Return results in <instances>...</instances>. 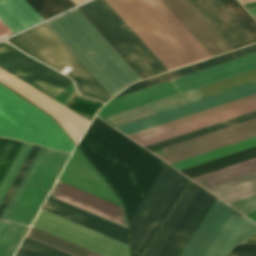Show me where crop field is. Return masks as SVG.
<instances>
[{
    "label": "crop field",
    "mask_w": 256,
    "mask_h": 256,
    "mask_svg": "<svg viewBox=\"0 0 256 256\" xmlns=\"http://www.w3.org/2000/svg\"><path fill=\"white\" fill-rule=\"evenodd\" d=\"M254 100H256V94L246 97V98H243V99H239V100L224 104V105H221V106H218V107H215V108H212V109H209V110H205V111H202V112H199V113H196V114H193V115H190V116L178 119V120H174V121H171V122H168V123H165V124H162V125H159V126H156V127L144 130V131H140V132L128 135V136L131 139L135 140V139H138V138H141V137H144V136H147V135L180 125L182 123H185V122H188V121H191L194 119H198V118H201V117H204V116H207V115H210V114L222 111V110H226V109H229V108H232V107H235V106H238V105L250 102V101H254Z\"/></svg>",
    "instance_id": "ae1a2a85"
},
{
    "label": "crop field",
    "mask_w": 256,
    "mask_h": 256,
    "mask_svg": "<svg viewBox=\"0 0 256 256\" xmlns=\"http://www.w3.org/2000/svg\"><path fill=\"white\" fill-rule=\"evenodd\" d=\"M253 136H256V118L163 148L165 152L161 154L154 153L171 164Z\"/></svg>",
    "instance_id": "d1516ede"
},
{
    "label": "crop field",
    "mask_w": 256,
    "mask_h": 256,
    "mask_svg": "<svg viewBox=\"0 0 256 256\" xmlns=\"http://www.w3.org/2000/svg\"><path fill=\"white\" fill-rule=\"evenodd\" d=\"M189 181L165 164L128 221L131 256L142 255ZM215 198L191 181L143 256H178Z\"/></svg>",
    "instance_id": "8a807250"
},
{
    "label": "crop field",
    "mask_w": 256,
    "mask_h": 256,
    "mask_svg": "<svg viewBox=\"0 0 256 256\" xmlns=\"http://www.w3.org/2000/svg\"><path fill=\"white\" fill-rule=\"evenodd\" d=\"M44 19L75 6L71 0H26Z\"/></svg>",
    "instance_id": "1d83c4d3"
},
{
    "label": "crop field",
    "mask_w": 256,
    "mask_h": 256,
    "mask_svg": "<svg viewBox=\"0 0 256 256\" xmlns=\"http://www.w3.org/2000/svg\"><path fill=\"white\" fill-rule=\"evenodd\" d=\"M78 8L142 79L167 71L105 0H93Z\"/></svg>",
    "instance_id": "e52e79f7"
},
{
    "label": "crop field",
    "mask_w": 256,
    "mask_h": 256,
    "mask_svg": "<svg viewBox=\"0 0 256 256\" xmlns=\"http://www.w3.org/2000/svg\"><path fill=\"white\" fill-rule=\"evenodd\" d=\"M197 41L213 56L232 48L189 2V0H161Z\"/></svg>",
    "instance_id": "733c2abd"
},
{
    "label": "crop field",
    "mask_w": 256,
    "mask_h": 256,
    "mask_svg": "<svg viewBox=\"0 0 256 256\" xmlns=\"http://www.w3.org/2000/svg\"><path fill=\"white\" fill-rule=\"evenodd\" d=\"M69 154L47 149L8 220L30 225Z\"/></svg>",
    "instance_id": "3316defc"
},
{
    "label": "crop field",
    "mask_w": 256,
    "mask_h": 256,
    "mask_svg": "<svg viewBox=\"0 0 256 256\" xmlns=\"http://www.w3.org/2000/svg\"><path fill=\"white\" fill-rule=\"evenodd\" d=\"M45 150H46V148L40 147V149H39L37 155L35 156L33 162L31 163V165H30V167H29V169H28V171L26 172L24 178L22 179V181H21L19 187L17 188L15 194L13 195V197H12L10 203L8 204L6 210L4 211V213H3L2 217H1V219L7 220V218H8V216H9L10 212L12 211V209H13L15 203L17 202V200H18L20 194L22 193V191H23L25 185L27 184L29 178L31 177V175H32V173H33V171H34V169L36 168V166H37L39 160L41 159V157H42V155H43V153H44Z\"/></svg>",
    "instance_id": "028f5c9d"
},
{
    "label": "crop field",
    "mask_w": 256,
    "mask_h": 256,
    "mask_svg": "<svg viewBox=\"0 0 256 256\" xmlns=\"http://www.w3.org/2000/svg\"><path fill=\"white\" fill-rule=\"evenodd\" d=\"M76 5L79 4L80 2L84 1V0H72Z\"/></svg>",
    "instance_id": "25e5ab78"
},
{
    "label": "crop field",
    "mask_w": 256,
    "mask_h": 256,
    "mask_svg": "<svg viewBox=\"0 0 256 256\" xmlns=\"http://www.w3.org/2000/svg\"><path fill=\"white\" fill-rule=\"evenodd\" d=\"M255 93L256 82H253L116 128L124 134L128 135Z\"/></svg>",
    "instance_id": "5142ce71"
},
{
    "label": "crop field",
    "mask_w": 256,
    "mask_h": 256,
    "mask_svg": "<svg viewBox=\"0 0 256 256\" xmlns=\"http://www.w3.org/2000/svg\"><path fill=\"white\" fill-rule=\"evenodd\" d=\"M254 17H256V7L247 9Z\"/></svg>",
    "instance_id": "b54c1fbb"
},
{
    "label": "crop field",
    "mask_w": 256,
    "mask_h": 256,
    "mask_svg": "<svg viewBox=\"0 0 256 256\" xmlns=\"http://www.w3.org/2000/svg\"><path fill=\"white\" fill-rule=\"evenodd\" d=\"M232 11L243 21V23L256 36V21L246 12V10L237 2V0H223Z\"/></svg>",
    "instance_id": "b80d0937"
},
{
    "label": "crop field",
    "mask_w": 256,
    "mask_h": 256,
    "mask_svg": "<svg viewBox=\"0 0 256 256\" xmlns=\"http://www.w3.org/2000/svg\"><path fill=\"white\" fill-rule=\"evenodd\" d=\"M250 219H256V194L228 202Z\"/></svg>",
    "instance_id": "0bd39190"
},
{
    "label": "crop field",
    "mask_w": 256,
    "mask_h": 256,
    "mask_svg": "<svg viewBox=\"0 0 256 256\" xmlns=\"http://www.w3.org/2000/svg\"><path fill=\"white\" fill-rule=\"evenodd\" d=\"M59 181L121 206L111 189L77 149L74 150Z\"/></svg>",
    "instance_id": "4a817a6b"
},
{
    "label": "crop field",
    "mask_w": 256,
    "mask_h": 256,
    "mask_svg": "<svg viewBox=\"0 0 256 256\" xmlns=\"http://www.w3.org/2000/svg\"><path fill=\"white\" fill-rule=\"evenodd\" d=\"M208 190L226 202L247 196L256 193V174Z\"/></svg>",
    "instance_id": "eef30255"
},
{
    "label": "crop field",
    "mask_w": 256,
    "mask_h": 256,
    "mask_svg": "<svg viewBox=\"0 0 256 256\" xmlns=\"http://www.w3.org/2000/svg\"><path fill=\"white\" fill-rule=\"evenodd\" d=\"M50 196L127 228L123 209L57 181Z\"/></svg>",
    "instance_id": "214f88e0"
},
{
    "label": "crop field",
    "mask_w": 256,
    "mask_h": 256,
    "mask_svg": "<svg viewBox=\"0 0 256 256\" xmlns=\"http://www.w3.org/2000/svg\"><path fill=\"white\" fill-rule=\"evenodd\" d=\"M254 117H256V111L236 117V118H232V119H229V120H226V121H223V122H220V123L208 126V127H204V128H201V129H198V130H195V131L183 134V135H179V136H176V137H173V138H170V139L158 142V143H154V144H151V145H148L145 147L148 150L152 151V150H155V149H158V148H161L164 146H168V145H171V144H174V143H177V142H180V141L192 138V137H196V136L223 128V127H227V126H230V125H233V124H236V123H239V122H242V121L254 118Z\"/></svg>",
    "instance_id": "d3111659"
},
{
    "label": "crop field",
    "mask_w": 256,
    "mask_h": 256,
    "mask_svg": "<svg viewBox=\"0 0 256 256\" xmlns=\"http://www.w3.org/2000/svg\"><path fill=\"white\" fill-rule=\"evenodd\" d=\"M244 242H256V240H246ZM242 244H256V243H242Z\"/></svg>",
    "instance_id": "425ffa30"
},
{
    "label": "crop field",
    "mask_w": 256,
    "mask_h": 256,
    "mask_svg": "<svg viewBox=\"0 0 256 256\" xmlns=\"http://www.w3.org/2000/svg\"><path fill=\"white\" fill-rule=\"evenodd\" d=\"M256 157V146L180 170L190 178Z\"/></svg>",
    "instance_id": "4177f3b9"
},
{
    "label": "crop field",
    "mask_w": 256,
    "mask_h": 256,
    "mask_svg": "<svg viewBox=\"0 0 256 256\" xmlns=\"http://www.w3.org/2000/svg\"><path fill=\"white\" fill-rule=\"evenodd\" d=\"M24 143V142H23ZM22 142L0 138V182L19 150Z\"/></svg>",
    "instance_id": "5866460e"
},
{
    "label": "crop field",
    "mask_w": 256,
    "mask_h": 256,
    "mask_svg": "<svg viewBox=\"0 0 256 256\" xmlns=\"http://www.w3.org/2000/svg\"><path fill=\"white\" fill-rule=\"evenodd\" d=\"M242 4L254 2L256 0H239Z\"/></svg>",
    "instance_id": "5d738f31"
},
{
    "label": "crop field",
    "mask_w": 256,
    "mask_h": 256,
    "mask_svg": "<svg viewBox=\"0 0 256 256\" xmlns=\"http://www.w3.org/2000/svg\"><path fill=\"white\" fill-rule=\"evenodd\" d=\"M253 173H256V158L192 179L208 189Z\"/></svg>",
    "instance_id": "a9b5d70f"
},
{
    "label": "crop field",
    "mask_w": 256,
    "mask_h": 256,
    "mask_svg": "<svg viewBox=\"0 0 256 256\" xmlns=\"http://www.w3.org/2000/svg\"><path fill=\"white\" fill-rule=\"evenodd\" d=\"M0 81L51 114L75 144L90 122L1 68Z\"/></svg>",
    "instance_id": "cbeb9de0"
},
{
    "label": "crop field",
    "mask_w": 256,
    "mask_h": 256,
    "mask_svg": "<svg viewBox=\"0 0 256 256\" xmlns=\"http://www.w3.org/2000/svg\"><path fill=\"white\" fill-rule=\"evenodd\" d=\"M0 67L53 99L72 84L70 79L52 71L19 50L1 43Z\"/></svg>",
    "instance_id": "28ad6ade"
},
{
    "label": "crop field",
    "mask_w": 256,
    "mask_h": 256,
    "mask_svg": "<svg viewBox=\"0 0 256 256\" xmlns=\"http://www.w3.org/2000/svg\"><path fill=\"white\" fill-rule=\"evenodd\" d=\"M77 147L119 196L127 220L165 164L96 117Z\"/></svg>",
    "instance_id": "ac0d7876"
},
{
    "label": "crop field",
    "mask_w": 256,
    "mask_h": 256,
    "mask_svg": "<svg viewBox=\"0 0 256 256\" xmlns=\"http://www.w3.org/2000/svg\"><path fill=\"white\" fill-rule=\"evenodd\" d=\"M256 110V101L254 102H250L226 111H222L198 120H194L188 123H185L184 125H180L138 140H135L136 142H138L139 144L145 146L154 142H158L179 134H183L204 126H208L232 117H236L251 111ZM175 130L177 132H175Z\"/></svg>",
    "instance_id": "92a150f3"
},
{
    "label": "crop field",
    "mask_w": 256,
    "mask_h": 256,
    "mask_svg": "<svg viewBox=\"0 0 256 256\" xmlns=\"http://www.w3.org/2000/svg\"><path fill=\"white\" fill-rule=\"evenodd\" d=\"M43 210L127 245L128 231L122 226L114 224L50 196L48 197Z\"/></svg>",
    "instance_id": "bc2a9ffb"
},
{
    "label": "crop field",
    "mask_w": 256,
    "mask_h": 256,
    "mask_svg": "<svg viewBox=\"0 0 256 256\" xmlns=\"http://www.w3.org/2000/svg\"><path fill=\"white\" fill-rule=\"evenodd\" d=\"M12 33V31L6 27L1 21H0V38ZM13 34V33H12Z\"/></svg>",
    "instance_id": "c21b1889"
},
{
    "label": "crop field",
    "mask_w": 256,
    "mask_h": 256,
    "mask_svg": "<svg viewBox=\"0 0 256 256\" xmlns=\"http://www.w3.org/2000/svg\"><path fill=\"white\" fill-rule=\"evenodd\" d=\"M38 149H39V146L33 145L30 153L28 154V156H27L26 160L24 161L21 169L19 170L17 176L15 177L12 185L10 186L8 192L6 193L3 201L0 204V217H1L2 213H3V211L5 210L8 202L10 201L13 193L15 192L17 186L19 185L22 177L24 176L27 168L29 167V165H30L32 159L34 158V156H35V154H36Z\"/></svg>",
    "instance_id": "e1f06a70"
},
{
    "label": "crop field",
    "mask_w": 256,
    "mask_h": 256,
    "mask_svg": "<svg viewBox=\"0 0 256 256\" xmlns=\"http://www.w3.org/2000/svg\"><path fill=\"white\" fill-rule=\"evenodd\" d=\"M256 145V137L205 153V154H201L174 164H171L173 167H175L176 169L180 170L198 163H202L244 148H248L251 146Z\"/></svg>",
    "instance_id": "750c4746"
},
{
    "label": "crop field",
    "mask_w": 256,
    "mask_h": 256,
    "mask_svg": "<svg viewBox=\"0 0 256 256\" xmlns=\"http://www.w3.org/2000/svg\"><path fill=\"white\" fill-rule=\"evenodd\" d=\"M254 222H256V220H254Z\"/></svg>",
    "instance_id": "1f2cbd36"
},
{
    "label": "crop field",
    "mask_w": 256,
    "mask_h": 256,
    "mask_svg": "<svg viewBox=\"0 0 256 256\" xmlns=\"http://www.w3.org/2000/svg\"><path fill=\"white\" fill-rule=\"evenodd\" d=\"M249 239H256V235H252Z\"/></svg>",
    "instance_id": "89e229c0"
},
{
    "label": "crop field",
    "mask_w": 256,
    "mask_h": 256,
    "mask_svg": "<svg viewBox=\"0 0 256 256\" xmlns=\"http://www.w3.org/2000/svg\"><path fill=\"white\" fill-rule=\"evenodd\" d=\"M255 51H256V44L246 47V48H243V49H240V50H237V51H234V52H231V53H228V54H225V55H222V56H219V57H216V58H213V59H210V60H207V61H204V62H200V63L194 64V65H191V66H188V67H185V68H182V69H179V70H176V71H173V72H170V73H167V74H164V75H161V76L149 79V80H146V81H143V82H140V83H137V84H134L116 97L131 93V92L140 90L142 88H145V87H148V86H151V85H154V84H157V83H160V82H163V81L175 78V77H179V76H182V75H185V74H188V73H191V72L224 62V61H228V60H231V59H234V58H237V57H240V56H243V55L255 52Z\"/></svg>",
    "instance_id": "00972430"
},
{
    "label": "crop field",
    "mask_w": 256,
    "mask_h": 256,
    "mask_svg": "<svg viewBox=\"0 0 256 256\" xmlns=\"http://www.w3.org/2000/svg\"><path fill=\"white\" fill-rule=\"evenodd\" d=\"M0 136L71 152L72 142L46 114L0 84Z\"/></svg>",
    "instance_id": "f4fd0767"
},
{
    "label": "crop field",
    "mask_w": 256,
    "mask_h": 256,
    "mask_svg": "<svg viewBox=\"0 0 256 256\" xmlns=\"http://www.w3.org/2000/svg\"><path fill=\"white\" fill-rule=\"evenodd\" d=\"M33 226L105 256H129L126 245L41 210Z\"/></svg>",
    "instance_id": "22f410ed"
},
{
    "label": "crop field",
    "mask_w": 256,
    "mask_h": 256,
    "mask_svg": "<svg viewBox=\"0 0 256 256\" xmlns=\"http://www.w3.org/2000/svg\"><path fill=\"white\" fill-rule=\"evenodd\" d=\"M256 232V224L216 198L179 256H227Z\"/></svg>",
    "instance_id": "dd49c442"
},
{
    "label": "crop field",
    "mask_w": 256,
    "mask_h": 256,
    "mask_svg": "<svg viewBox=\"0 0 256 256\" xmlns=\"http://www.w3.org/2000/svg\"><path fill=\"white\" fill-rule=\"evenodd\" d=\"M256 68V52L180 77L172 79L180 92L220 80ZM169 81L110 100L98 113L103 118L157 99L179 93Z\"/></svg>",
    "instance_id": "5a996713"
},
{
    "label": "crop field",
    "mask_w": 256,
    "mask_h": 256,
    "mask_svg": "<svg viewBox=\"0 0 256 256\" xmlns=\"http://www.w3.org/2000/svg\"><path fill=\"white\" fill-rule=\"evenodd\" d=\"M106 1L168 70L210 57L160 0Z\"/></svg>",
    "instance_id": "34b2d1b8"
},
{
    "label": "crop field",
    "mask_w": 256,
    "mask_h": 256,
    "mask_svg": "<svg viewBox=\"0 0 256 256\" xmlns=\"http://www.w3.org/2000/svg\"><path fill=\"white\" fill-rule=\"evenodd\" d=\"M220 35L235 49L256 37L222 0H190Z\"/></svg>",
    "instance_id": "d9b57169"
},
{
    "label": "crop field",
    "mask_w": 256,
    "mask_h": 256,
    "mask_svg": "<svg viewBox=\"0 0 256 256\" xmlns=\"http://www.w3.org/2000/svg\"><path fill=\"white\" fill-rule=\"evenodd\" d=\"M228 256H256V252H251V253H230Z\"/></svg>",
    "instance_id": "03da06ac"
},
{
    "label": "crop field",
    "mask_w": 256,
    "mask_h": 256,
    "mask_svg": "<svg viewBox=\"0 0 256 256\" xmlns=\"http://www.w3.org/2000/svg\"><path fill=\"white\" fill-rule=\"evenodd\" d=\"M46 24L111 96L141 80L78 8Z\"/></svg>",
    "instance_id": "412701ff"
},
{
    "label": "crop field",
    "mask_w": 256,
    "mask_h": 256,
    "mask_svg": "<svg viewBox=\"0 0 256 256\" xmlns=\"http://www.w3.org/2000/svg\"><path fill=\"white\" fill-rule=\"evenodd\" d=\"M27 227L6 222L0 233V256H12Z\"/></svg>",
    "instance_id": "bd1437ed"
},
{
    "label": "crop field",
    "mask_w": 256,
    "mask_h": 256,
    "mask_svg": "<svg viewBox=\"0 0 256 256\" xmlns=\"http://www.w3.org/2000/svg\"><path fill=\"white\" fill-rule=\"evenodd\" d=\"M27 237L51 246L67 254H70L72 256H102L81 246L73 244L69 241L61 239L57 236L49 234L45 231L37 229L33 226L31 227L30 232H28Z\"/></svg>",
    "instance_id": "730fd06b"
},
{
    "label": "crop field",
    "mask_w": 256,
    "mask_h": 256,
    "mask_svg": "<svg viewBox=\"0 0 256 256\" xmlns=\"http://www.w3.org/2000/svg\"><path fill=\"white\" fill-rule=\"evenodd\" d=\"M244 6H245V8L256 6V2L255 3H250V4H245Z\"/></svg>",
    "instance_id": "d23c7cc5"
},
{
    "label": "crop field",
    "mask_w": 256,
    "mask_h": 256,
    "mask_svg": "<svg viewBox=\"0 0 256 256\" xmlns=\"http://www.w3.org/2000/svg\"><path fill=\"white\" fill-rule=\"evenodd\" d=\"M8 40L59 71L66 65L74 68L66 75L73 79L80 93L103 101L111 97L45 24Z\"/></svg>",
    "instance_id": "d8731c3e"
},
{
    "label": "crop field",
    "mask_w": 256,
    "mask_h": 256,
    "mask_svg": "<svg viewBox=\"0 0 256 256\" xmlns=\"http://www.w3.org/2000/svg\"><path fill=\"white\" fill-rule=\"evenodd\" d=\"M256 251V245H239L231 250V252H250Z\"/></svg>",
    "instance_id": "c035e120"
},
{
    "label": "crop field",
    "mask_w": 256,
    "mask_h": 256,
    "mask_svg": "<svg viewBox=\"0 0 256 256\" xmlns=\"http://www.w3.org/2000/svg\"><path fill=\"white\" fill-rule=\"evenodd\" d=\"M3 224H4V221H0V230H1L2 226H3Z\"/></svg>",
    "instance_id": "73cf0c24"
},
{
    "label": "crop field",
    "mask_w": 256,
    "mask_h": 256,
    "mask_svg": "<svg viewBox=\"0 0 256 256\" xmlns=\"http://www.w3.org/2000/svg\"><path fill=\"white\" fill-rule=\"evenodd\" d=\"M0 19L14 33L44 20L25 0H0Z\"/></svg>",
    "instance_id": "dafd665d"
},
{
    "label": "crop field",
    "mask_w": 256,
    "mask_h": 256,
    "mask_svg": "<svg viewBox=\"0 0 256 256\" xmlns=\"http://www.w3.org/2000/svg\"><path fill=\"white\" fill-rule=\"evenodd\" d=\"M31 147H32V144H28L24 142L20 150L18 151L15 159L13 160L10 168L8 169L4 179L0 184V202L2 201L5 193L7 192L9 186L11 185L14 177L16 176L18 170L20 169Z\"/></svg>",
    "instance_id": "d32e631a"
},
{
    "label": "crop field",
    "mask_w": 256,
    "mask_h": 256,
    "mask_svg": "<svg viewBox=\"0 0 256 256\" xmlns=\"http://www.w3.org/2000/svg\"><path fill=\"white\" fill-rule=\"evenodd\" d=\"M256 234V233H255Z\"/></svg>",
    "instance_id": "dbb93151"
},
{
    "label": "crop field",
    "mask_w": 256,
    "mask_h": 256,
    "mask_svg": "<svg viewBox=\"0 0 256 256\" xmlns=\"http://www.w3.org/2000/svg\"><path fill=\"white\" fill-rule=\"evenodd\" d=\"M15 256H70L25 237Z\"/></svg>",
    "instance_id": "120bbe31"
}]
</instances>
